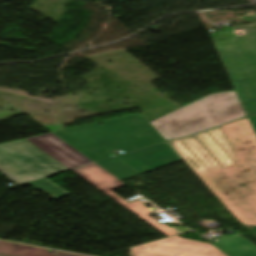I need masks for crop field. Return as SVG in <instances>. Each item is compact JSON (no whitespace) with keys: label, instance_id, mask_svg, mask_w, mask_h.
<instances>
[{"label":"crop field","instance_id":"4a817a6b","mask_svg":"<svg viewBox=\"0 0 256 256\" xmlns=\"http://www.w3.org/2000/svg\"><path fill=\"white\" fill-rule=\"evenodd\" d=\"M221 30H223V31H225L226 33H228V32H230V31H232V30H234V29H230V28H228V27L225 26V28H224V29L222 28Z\"/></svg>","mask_w":256,"mask_h":256},{"label":"crop field","instance_id":"d1516ede","mask_svg":"<svg viewBox=\"0 0 256 256\" xmlns=\"http://www.w3.org/2000/svg\"><path fill=\"white\" fill-rule=\"evenodd\" d=\"M97 164L113 174L121 181L139 175L136 171L131 169L129 166H127L116 157L108 160L99 161L97 162Z\"/></svg>","mask_w":256,"mask_h":256},{"label":"crop field","instance_id":"cbeb9de0","mask_svg":"<svg viewBox=\"0 0 256 256\" xmlns=\"http://www.w3.org/2000/svg\"><path fill=\"white\" fill-rule=\"evenodd\" d=\"M235 28H245L246 29V33L256 32V23L249 24V25H246L244 27L239 26V27H235Z\"/></svg>","mask_w":256,"mask_h":256},{"label":"crop field","instance_id":"34b2d1b8","mask_svg":"<svg viewBox=\"0 0 256 256\" xmlns=\"http://www.w3.org/2000/svg\"><path fill=\"white\" fill-rule=\"evenodd\" d=\"M245 116L235 92L231 91L209 95L150 124L169 140Z\"/></svg>","mask_w":256,"mask_h":256},{"label":"crop field","instance_id":"733c2abd","mask_svg":"<svg viewBox=\"0 0 256 256\" xmlns=\"http://www.w3.org/2000/svg\"><path fill=\"white\" fill-rule=\"evenodd\" d=\"M228 34L220 31V32H217V33H214V34H211V37L212 38H215V37H221V36H227Z\"/></svg>","mask_w":256,"mask_h":256},{"label":"crop field","instance_id":"ac0d7876","mask_svg":"<svg viewBox=\"0 0 256 256\" xmlns=\"http://www.w3.org/2000/svg\"><path fill=\"white\" fill-rule=\"evenodd\" d=\"M53 132L91 161L115 156L120 148L128 152L165 141L138 114Z\"/></svg>","mask_w":256,"mask_h":256},{"label":"crop field","instance_id":"d9b57169","mask_svg":"<svg viewBox=\"0 0 256 256\" xmlns=\"http://www.w3.org/2000/svg\"><path fill=\"white\" fill-rule=\"evenodd\" d=\"M256 133V116L248 117Z\"/></svg>","mask_w":256,"mask_h":256},{"label":"crop field","instance_id":"e52e79f7","mask_svg":"<svg viewBox=\"0 0 256 256\" xmlns=\"http://www.w3.org/2000/svg\"><path fill=\"white\" fill-rule=\"evenodd\" d=\"M132 256H226L209 243L178 236L132 249Z\"/></svg>","mask_w":256,"mask_h":256},{"label":"crop field","instance_id":"28ad6ade","mask_svg":"<svg viewBox=\"0 0 256 256\" xmlns=\"http://www.w3.org/2000/svg\"><path fill=\"white\" fill-rule=\"evenodd\" d=\"M51 251L29 245L0 241V254L10 256H55Z\"/></svg>","mask_w":256,"mask_h":256},{"label":"crop field","instance_id":"d8731c3e","mask_svg":"<svg viewBox=\"0 0 256 256\" xmlns=\"http://www.w3.org/2000/svg\"><path fill=\"white\" fill-rule=\"evenodd\" d=\"M119 158L141 174L181 160L167 143L119 156Z\"/></svg>","mask_w":256,"mask_h":256},{"label":"crop field","instance_id":"8a807250","mask_svg":"<svg viewBox=\"0 0 256 256\" xmlns=\"http://www.w3.org/2000/svg\"><path fill=\"white\" fill-rule=\"evenodd\" d=\"M242 224H256V135L248 118L167 142Z\"/></svg>","mask_w":256,"mask_h":256},{"label":"crop field","instance_id":"dd49c442","mask_svg":"<svg viewBox=\"0 0 256 256\" xmlns=\"http://www.w3.org/2000/svg\"><path fill=\"white\" fill-rule=\"evenodd\" d=\"M80 177L85 179L87 182L92 184L98 190L103 192L105 195L113 199L115 202L123 206L125 209L133 213L135 216L146 222L148 225L159 231L164 236L168 237L177 234L167 224H160L151 217L148 216L147 212H153L151 209L136 201L128 204L118 195L111 190L125 186L120 180L115 178L113 175L102 169L97 164L93 163L85 167L73 170Z\"/></svg>","mask_w":256,"mask_h":256},{"label":"crop field","instance_id":"5142ce71","mask_svg":"<svg viewBox=\"0 0 256 256\" xmlns=\"http://www.w3.org/2000/svg\"><path fill=\"white\" fill-rule=\"evenodd\" d=\"M56 256H83V255H78V254H72V253L59 251Z\"/></svg>","mask_w":256,"mask_h":256},{"label":"crop field","instance_id":"f4fd0767","mask_svg":"<svg viewBox=\"0 0 256 256\" xmlns=\"http://www.w3.org/2000/svg\"><path fill=\"white\" fill-rule=\"evenodd\" d=\"M66 171L26 139L0 145V172L18 185Z\"/></svg>","mask_w":256,"mask_h":256},{"label":"crop field","instance_id":"3316defc","mask_svg":"<svg viewBox=\"0 0 256 256\" xmlns=\"http://www.w3.org/2000/svg\"><path fill=\"white\" fill-rule=\"evenodd\" d=\"M210 243L229 256H256V247L239 235L222 237L218 243Z\"/></svg>","mask_w":256,"mask_h":256},{"label":"crop field","instance_id":"5a996713","mask_svg":"<svg viewBox=\"0 0 256 256\" xmlns=\"http://www.w3.org/2000/svg\"><path fill=\"white\" fill-rule=\"evenodd\" d=\"M27 140L70 170L91 162L52 133L28 138Z\"/></svg>","mask_w":256,"mask_h":256},{"label":"crop field","instance_id":"22f410ed","mask_svg":"<svg viewBox=\"0 0 256 256\" xmlns=\"http://www.w3.org/2000/svg\"><path fill=\"white\" fill-rule=\"evenodd\" d=\"M28 185L48 194L56 199L70 195L68 192L64 191L62 188H60L58 185H56L54 182H52L48 178L33 182Z\"/></svg>","mask_w":256,"mask_h":256},{"label":"crop field","instance_id":"bc2a9ffb","mask_svg":"<svg viewBox=\"0 0 256 256\" xmlns=\"http://www.w3.org/2000/svg\"><path fill=\"white\" fill-rule=\"evenodd\" d=\"M0 256H4V255H0Z\"/></svg>","mask_w":256,"mask_h":256},{"label":"crop field","instance_id":"412701ff","mask_svg":"<svg viewBox=\"0 0 256 256\" xmlns=\"http://www.w3.org/2000/svg\"><path fill=\"white\" fill-rule=\"evenodd\" d=\"M236 31V30H234ZM212 39L249 116L256 115V34Z\"/></svg>","mask_w":256,"mask_h":256}]
</instances>
